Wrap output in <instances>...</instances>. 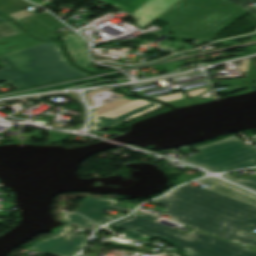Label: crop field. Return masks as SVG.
Instances as JSON below:
<instances>
[{"label":"crop field","instance_id":"crop-field-1","mask_svg":"<svg viewBox=\"0 0 256 256\" xmlns=\"http://www.w3.org/2000/svg\"><path fill=\"white\" fill-rule=\"evenodd\" d=\"M0 61L7 66L0 70V81L5 80L15 89L87 75L72 67L54 42L2 55Z\"/></svg>","mask_w":256,"mask_h":256},{"label":"crop field","instance_id":"crop-field-2","mask_svg":"<svg viewBox=\"0 0 256 256\" xmlns=\"http://www.w3.org/2000/svg\"><path fill=\"white\" fill-rule=\"evenodd\" d=\"M245 12L227 0H179L158 18L177 23L166 32L211 40Z\"/></svg>","mask_w":256,"mask_h":256},{"label":"crop field","instance_id":"crop-field-3","mask_svg":"<svg viewBox=\"0 0 256 256\" xmlns=\"http://www.w3.org/2000/svg\"><path fill=\"white\" fill-rule=\"evenodd\" d=\"M113 228H127L132 237L149 241L156 236L180 249L184 256H256V252L225 240L195 232L186 235L160 226L134 214L108 225Z\"/></svg>","mask_w":256,"mask_h":256},{"label":"crop field","instance_id":"crop-field-4","mask_svg":"<svg viewBox=\"0 0 256 256\" xmlns=\"http://www.w3.org/2000/svg\"><path fill=\"white\" fill-rule=\"evenodd\" d=\"M177 222L250 247L256 243L255 225L197 204L177 200L165 206Z\"/></svg>","mask_w":256,"mask_h":256},{"label":"crop field","instance_id":"crop-field-5","mask_svg":"<svg viewBox=\"0 0 256 256\" xmlns=\"http://www.w3.org/2000/svg\"><path fill=\"white\" fill-rule=\"evenodd\" d=\"M168 194L256 224L255 206L202 189L190 183L180 186Z\"/></svg>","mask_w":256,"mask_h":256},{"label":"crop field","instance_id":"crop-field-6","mask_svg":"<svg viewBox=\"0 0 256 256\" xmlns=\"http://www.w3.org/2000/svg\"><path fill=\"white\" fill-rule=\"evenodd\" d=\"M194 149L200 154L180 160L201 165L215 172L256 165L255 161L221 140Z\"/></svg>","mask_w":256,"mask_h":256},{"label":"crop field","instance_id":"crop-field-7","mask_svg":"<svg viewBox=\"0 0 256 256\" xmlns=\"http://www.w3.org/2000/svg\"><path fill=\"white\" fill-rule=\"evenodd\" d=\"M125 98L133 101L97 116H95L94 110H92L94 120L92 121L90 128L98 130L104 127L113 126L162 105L147 99L130 98L127 96H125Z\"/></svg>","mask_w":256,"mask_h":256},{"label":"crop field","instance_id":"crop-field-8","mask_svg":"<svg viewBox=\"0 0 256 256\" xmlns=\"http://www.w3.org/2000/svg\"><path fill=\"white\" fill-rule=\"evenodd\" d=\"M70 228V226L64 225L55 234L29 246V248L56 256H73L81 249L87 238L68 232Z\"/></svg>","mask_w":256,"mask_h":256},{"label":"crop field","instance_id":"crop-field-9","mask_svg":"<svg viewBox=\"0 0 256 256\" xmlns=\"http://www.w3.org/2000/svg\"><path fill=\"white\" fill-rule=\"evenodd\" d=\"M113 7L132 13L140 27H145L177 0H100ZM140 17L141 19H138Z\"/></svg>","mask_w":256,"mask_h":256},{"label":"crop field","instance_id":"crop-field-10","mask_svg":"<svg viewBox=\"0 0 256 256\" xmlns=\"http://www.w3.org/2000/svg\"><path fill=\"white\" fill-rule=\"evenodd\" d=\"M93 199H94L93 197H86V200L75 212L80 213L81 215L99 224H102L110 219H113L112 217H108L105 215V213L101 212V210L106 207L109 209L123 211L127 213L133 210L131 208H126L120 205H116L118 200H115V199H108V198H95L96 200H93ZM92 201H94V203H92Z\"/></svg>","mask_w":256,"mask_h":256},{"label":"crop field","instance_id":"crop-field-11","mask_svg":"<svg viewBox=\"0 0 256 256\" xmlns=\"http://www.w3.org/2000/svg\"><path fill=\"white\" fill-rule=\"evenodd\" d=\"M27 30L38 37H48L54 33V30L63 27V24L48 13H41L30 17L27 20L18 21ZM43 27V29H41Z\"/></svg>","mask_w":256,"mask_h":256},{"label":"crop field","instance_id":"crop-field-12","mask_svg":"<svg viewBox=\"0 0 256 256\" xmlns=\"http://www.w3.org/2000/svg\"><path fill=\"white\" fill-rule=\"evenodd\" d=\"M202 183L210 185L209 187L205 188L237 200L252 204L256 206V196L248 191H245L241 188H238L234 185L227 184L222 182L214 177H208L205 179L197 180Z\"/></svg>","mask_w":256,"mask_h":256},{"label":"crop field","instance_id":"crop-field-13","mask_svg":"<svg viewBox=\"0 0 256 256\" xmlns=\"http://www.w3.org/2000/svg\"><path fill=\"white\" fill-rule=\"evenodd\" d=\"M62 39L65 41L67 49L73 57L74 61L80 66L86 68L91 62L86 55L82 38L78 35H72V33H70L62 37Z\"/></svg>","mask_w":256,"mask_h":256},{"label":"crop field","instance_id":"crop-field-14","mask_svg":"<svg viewBox=\"0 0 256 256\" xmlns=\"http://www.w3.org/2000/svg\"><path fill=\"white\" fill-rule=\"evenodd\" d=\"M39 43L42 41H35L26 34L4 39L0 41V55Z\"/></svg>","mask_w":256,"mask_h":256},{"label":"crop field","instance_id":"crop-field-15","mask_svg":"<svg viewBox=\"0 0 256 256\" xmlns=\"http://www.w3.org/2000/svg\"><path fill=\"white\" fill-rule=\"evenodd\" d=\"M63 218L66 219L65 223L69 224V225H73V226H77V227H81V228H85V229H89V230H92V229L98 227V225L94 224L93 222H91L75 213L65 212L63 214Z\"/></svg>","mask_w":256,"mask_h":256},{"label":"crop field","instance_id":"crop-field-16","mask_svg":"<svg viewBox=\"0 0 256 256\" xmlns=\"http://www.w3.org/2000/svg\"><path fill=\"white\" fill-rule=\"evenodd\" d=\"M30 6L33 5L25 0H0V12L3 14L12 13Z\"/></svg>","mask_w":256,"mask_h":256},{"label":"crop field","instance_id":"crop-field-17","mask_svg":"<svg viewBox=\"0 0 256 256\" xmlns=\"http://www.w3.org/2000/svg\"><path fill=\"white\" fill-rule=\"evenodd\" d=\"M223 141L228 143L235 149L239 150L240 152L248 155L252 159L256 160V148L255 147L245 144L244 142H242L241 140L237 139L234 136L223 139Z\"/></svg>","mask_w":256,"mask_h":256},{"label":"crop field","instance_id":"crop-field-18","mask_svg":"<svg viewBox=\"0 0 256 256\" xmlns=\"http://www.w3.org/2000/svg\"><path fill=\"white\" fill-rule=\"evenodd\" d=\"M21 33L23 32L20 29L8 21L0 23V40Z\"/></svg>","mask_w":256,"mask_h":256},{"label":"crop field","instance_id":"crop-field-19","mask_svg":"<svg viewBox=\"0 0 256 256\" xmlns=\"http://www.w3.org/2000/svg\"><path fill=\"white\" fill-rule=\"evenodd\" d=\"M171 39H175V42L172 41H168V40H164L162 41L160 44V47L166 48V49H172L173 51H177V50H182V49H188V48H193L192 46L186 45L184 43H182L183 41H185L186 39H182V38H175V37H169ZM168 39V38H167ZM184 46V48H182L181 46Z\"/></svg>","mask_w":256,"mask_h":256},{"label":"crop field","instance_id":"crop-field-20","mask_svg":"<svg viewBox=\"0 0 256 256\" xmlns=\"http://www.w3.org/2000/svg\"><path fill=\"white\" fill-rule=\"evenodd\" d=\"M129 101H131V100H128V99H125V98H120L118 100H115L113 102H110V103H108L106 105H103L101 107H98V108L94 109L95 110V114L97 115L99 113H102L104 111H107L109 109H112V108H114L116 106H119V105L124 104V103L129 102Z\"/></svg>","mask_w":256,"mask_h":256},{"label":"crop field","instance_id":"crop-field-21","mask_svg":"<svg viewBox=\"0 0 256 256\" xmlns=\"http://www.w3.org/2000/svg\"><path fill=\"white\" fill-rule=\"evenodd\" d=\"M51 135V140L53 141H67L70 134L68 133H62V132H56V131H50L48 130Z\"/></svg>","mask_w":256,"mask_h":256},{"label":"crop field","instance_id":"crop-field-22","mask_svg":"<svg viewBox=\"0 0 256 256\" xmlns=\"http://www.w3.org/2000/svg\"><path fill=\"white\" fill-rule=\"evenodd\" d=\"M255 170H256V168H255ZM224 175H226V176H228V177H230V178H232L234 180H237V181H239V182H241V183H243V184H245L247 186H250V187L256 189V179H254V178L243 177V178L237 179V178L229 176L227 174H224Z\"/></svg>","mask_w":256,"mask_h":256},{"label":"crop field","instance_id":"crop-field-23","mask_svg":"<svg viewBox=\"0 0 256 256\" xmlns=\"http://www.w3.org/2000/svg\"><path fill=\"white\" fill-rule=\"evenodd\" d=\"M229 1L235 3L236 5L242 7L244 9L248 10L249 12H251V13L256 15V9L245 5V4L253 2V1L256 2V0H229Z\"/></svg>","mask_w":256,"mask_h":256},{"label":"crop field","instance_id":"crop-field-24","mask_svg":"<svg viewBox=\"0 0 256 256\" xmlns=\"http://www.w3.org/2000/svg\"><path fill=\"white\" fill-rule=\"evenodd\" d=\"M177 199H178V198H175V197L166 195V196H164V197H162V198H160V199H157V200H155V201H152V202H155V203H158V204H160V205L165 206V205H167V204H169V203H171V202H173V201H175V200H177Z\"/></svg>","mask_w":256,"mask_h":256},{"label":"crop field","instance_id":"crop-field-25","mask_svg":"<svg viewBox=\"0 0 256 256\" xmlns=\"http://www.w3.org/2000/svg\"><path fill=\"white\" fill-rule=\"evenodd\" d=\"M248 78H256V67L253 64V62L251 61V59L249 60L247 79Z\"/></svg>","mask_w":256,"mask_h":256},{"label":"crop field","instance_id":"crop-field-26","mask_svg":"<svg viewBox=\"0 0 256 256\" xmlns=\"http://www.w3.org/2000/svg\"><path fill=\"white\" fill-rule=\"evenodd\" d=\"M250 139L256 142V135H253L252 137H250Z\"/></svg>","mask_w":256,"mask_h":256},{"label":"crop field","instance_id":"crop-field-27","mask_svg":"<svg viewBox=\"0 0 256 256\" xmlns=\"http://www.w3.org/2000/svg\"><path fill=\"white\" fill-rule=\"evenodd\" d=\"M6 20H7V19H4V18L0 17V22L6 21Z\"/></svg>","mask_w":256,"mask_h":256},{"label":"crop field","instance_id":"crop-field-28","mask_svg":"<svg viewBox=\"0 0 256 256\" xmlns=\"http://www.w3.org/2000/svg\"><path fill=\"white\" fill-rule=\"evenodd\" d=\"M78 256H81V255H78Z\"/></svg>","mask_w":256,"mask_h":256}]
</instances>
